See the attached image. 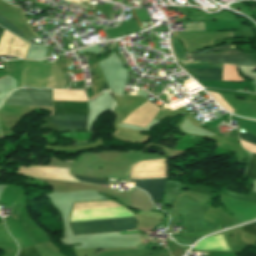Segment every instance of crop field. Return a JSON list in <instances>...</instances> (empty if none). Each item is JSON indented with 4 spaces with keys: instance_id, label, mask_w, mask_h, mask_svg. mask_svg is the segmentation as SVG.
Masks as SVG:
<instances>
[{
    "instance_id": "crop-field-9",
    "label": "crop field",
    "mask_w": 256,
    "mask_h": 256,
    "mask_svg": "<svg viewBox=\"0 0 256 256\" xmlns=\"http://www.w3.org/2000/svg\"><path fill=\"white\" fill-rule=\"evenodd\" d=\"M71 175H73L78 180H80L84 183L97 184V185H109L103 178L82 176V175H74V174H71Z\"/></svg>"
},
{
    "instance_id": "crop-field-11",
    "label": "crop field",
    "mask_w": 256,
    "mask_h": 256,
    "mask_svg": "<svg viewBox=\"0 0 256 256\" xmlns=\"http://www.w3.org/2000/svg\"><path fill=\"white\" fill-rule=\"evenodd\" d=\"M0 25L7 28L8 30L14 32L15 34L23 37V34L18 31L15 27H13L10 23H8L5 19H3L1 16H0Z\"/></svg>"
},
{
    "instance_id": "crop-field-7",
    "label": "crop field",
    "mask_w": 256,
    "mask_h": 256,
    "mask_svg": "<svg viewBox=\"0 0 256 256\" xmlns=\"http://www.w3.org/2000/svg\"><path fill=\"white\" fill-rule=\"evenodd\" d=\"M198 80H218L220 81L221 69H188Z\"/></svg>"
},
{
    "instance_id": "crop-field-10",
    "label": "crop field",
    "mask_w": 256,
    "mask_h": 256,
    "mask_svg": "<svg viewBox=\"0 0 256 256\" xmlns=\"http://www.w3.org/2000/svg\"><path fill=\"white\" fill-rule=\"evenodd\" d=\"M210 95H212L217 101H218V103L222 106V107H224V108H226L227 110H229V111H231V112H233L234 110L226 103V101L219 95V94H217V93H214V92H209V91H207Z\"/></svg>"
},
{
    "instance_id": "crop-field-13",
    "label": "crop field",
    "mask_w": 256,
    "mask_h": 256,
    "mask_svg": "<svg viewBox=\"0 0 256 256\" xmlns=\"http://www.w3.org/2000/svg\"><path fill=\"white\" fill-rule=\"evenodd\" d=\"M179 185V183L167 181L165 192L177 194Z\"/></svg>"
},
{
    "instance_id": "crop-field-8",
    "label": "crop field",
    "mask_w": 256,
    "mask_h": 256,
    "mask_svg": "<svg viewBox=\"0 0 256 256\" xmlns=\"http://www.w3.org/2000/svg\"><path fill=\"white\" fill-rule=\"evenodd\" d=\"M239 136L242 140L256 144V137H253L247 133L239 134ZM246 176L256 179V153H254L251 157Z\"/></svg>"
},
{
    "instance_id": "crop-field-14",
    "label": "crop field",
    "mask_w": 256,
    "mask_h": 256,
    "mask_svg": "<svg viewBox=\"0 0 256 256\" xmlns=\"http://www.w3.org/2000/svg\"><path fill=\"white\" fill-rule=\"evenodd\" d=\"M222 80L231 81V65L224 64Z\"/></svg>"
},
{
    "instance_id": "crop-field-3",
    "label": "crop field",
    "mask_w": 256,
    "mask_h": 256,
    "mask_svg": "<svg viewBox=\"0 0 256 256\" xmlns=\"http://www.w3.org/2000/svg\"><path fill=\"white\" fill-rule=\"evenodd\" d=\"M11 96L26 98L52 99V91L47 89H20ZM10 97L6 104L22 106H52V100Z\"/></svg>"
},
{
    "instance_id": "crop-field-6",
    "label": "crop field",
    "mask_w": 256,
    "mask_h": 256,
    "mask_svg": "<svg viewBox=\"0 0 256 256\" xmlns=\"http://www.w3.org/2000/svg\"><path fill=\"white\" fill-rule=\"evenodd\" d=\"M194 249L230 251L222 235L208 237L199 242Z\"/></svg>"
},
{
    "instance_id": "crop-field-16",
    "label": "crop field",
    "mask_w": 256,
    "mask_h": 256,
    "mask_svg": "<svg viewBox=\"0 0 256 256\" xmlns=\"http://www.w3.org/2000/svg\"><path fill=\"white\" fill-rule=\"evenodd\" d=\"M229 48H231L230 45H221V46H216L214 48H209L206 50L191 52L190 54L205 53V52H209V51H213V50H225V49H229Z\"/></svg>"
},
{
    "instance_id": "crop-field-2",
    "label": "crop field",
    "mask_w": 256,
    "mask_h": 256,
    "mask_svg": "<svg viewBox=\"0 0 256 256\" xmlns=\"http://www.w3.org/2000/svg\"><path fill=\"white\" fill-rule=\"evenodd\" d=\"M54 113L88 115L87 102L54 101ZM52 114L50 122L61 128L86 129L87 116Z\"/></svg>"
},
{
    "instance_id": "crop-field-1",
    "label": "crop field",
    "mask_w": 256,
    "mask_h": 256,
    "mask_svg": "<svg viewBox=\"0 0 256 256\" xmlns=\"http://www.w3.org/2000/svg\"><path fill=\"white\" fill-rule=\"evenodd\" d=\"M134 216L124 208L72 211L70 222ZM74 235L136 230L135 217L70 223ZM129 232V231H128Z\"/></svg>"
},
{
    "instance_id": "crop-field-17",
    "label": "crop field",
    "mask_w": 256,
    "mask_h": 256,
    "mask_svg": "<svg viewBox=\"0 0 256 256\" xmlns=\"http://www.w3.org/2000/svg\"><path fill=\"white\" fill-rule=\"evenodd\" d=\"M3 30H4V29L0 28V36H1L2 32H3ZM1 37H2V36H1Z\"/></svg>"
},
{
    "instance_id": "crop-field-4",
    "label": "crop field",
    "mask_w": 256,
    "mask_h": 256,
    "mask_svg": "<svg viewBox=\"0 0 256 256\" xmlns=\"http://www.w3.org/2000/svg\"><path fill=\"white\" fill-rule=\"evenodd\" d=\"M192 60H206L218 63H230L239 65H256V61L241 54L237 50H227L219 53L193 55Z\"/></svg>"
},
{
    "instance_id": "crop-field-15",
    "label": "crop field",
    "mask_w": 256,
    "mask_h": 256,
    "mask_svg": "<svg viewBox=\"0 0 256 256\" xmlns=\"http://www.w3.org/2000/svg\"><path fill=\"white\" fill-rule=\"evenodd\" d=\"M242 232L250 233L256 236V224L252 223V224L242 226Z\"/></svg>"
},
{
    "instance_id": "crop-field-12",
    "label": "crop field",
    "mask_w": 256,
    "mask_h": 256,
    "mask_svg": "<svg viewBox=\"0 0 256 256\" xmlns=\"http://www.w3.org/2000/svg\"><path fill=\"white\" fill-rule=\"evenodd\" d=\"M18 256H40L34 246L21 250Z\"/></svg>"
},
{
    "instance_id": "crop-field-5",
    "label": "crop field",
    "mask_w": 256,
    "mask_h": 256,
    "mask_svg": "<svg viewBox=\"0 0 256 256\" xmlns=\"http://www.w3.org/2000/svg\"><path fill=\"white\" fill-rule=\"evenodd\" d=\"M166 179L131 180L135 186L145 190L152 201L160 200Z\"/></svg>"
}]
</instances>
